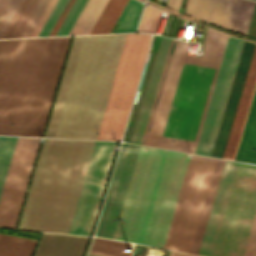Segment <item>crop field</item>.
<instances>
[{
	"label": "crop field",
	"mask_w": 256,
	"mask_h": 256,
	"mask_svg": "<svg viewBox=\"0 0 256 256\" xmlns=\"http://www.w3.org/2000/svg\"><path fill=\"white\" fill-rule=\"evenodd\" d=\"M83 36H74L45 137H53Z\"/></svg>",
	"instance_id": "obj_19"
},
{
	"label": "crop field",
	"mask_w": 256,
	"mask_h": 256,
	"mask_svg": "<svg viewBox=\"0 0 256 256\" xmlns=\"http://www.w3.org/2000/svg\"><path fill=\"white\" fill-rule=\"evenodd\" d=\"M125 35L83 37L54 137L96 138Z\"/></svg>",
	"instance_id": "obj_4"
},
{
	"label": "crop field",
	"mask_w": 256,
	"mask_h": 256,
	"mask_svg": "<svg viewBox=\"0 0 256 256\" xmlns=\"http://www.w3.org/2000/svg\"><path fill=\"white\" fill-rule=\"evenodd\" d=\"M161 12L159 9L146 6L138 30L140 32L155 33Z\"/></svg>",
	"instance_id": "obj_30"
},
{
	"label": "crop field",
	"mask_w": 256,
	"mask_h": 256,
	"mask_svg": "<svg viewBox=\"0 0 256 256\" xmlns=\"http://www.w3.org/2000/svg\"><path fill=\"white\" fill-rule=\"evenodd\" d=\"M70 38L48 39L20 135H42Z\"/></svg>",
	"instance_id": "obj_8"
},
{
	"label": "crop field",
	"mask_w": 256,
	"mask_h": 256,
	"mask_svg": "<svg viewBox=\"0 0 256 256\" xmlns=\"http://www.w3.org/2000/svg\"><path fill=\"white\" fill-rule=\"evenodd\" d=\"M256 212V166L225 161L200 256H242Z\"/></svg>",
	"instance_id": "obj_5"
},
{
	"label": "crop field",
	"mask_w": 256,
	"mask_h": 256,
	"mask_svg": "<svg viewBox=\"0 0 256 256\" xmlns=\"http://www.w3.org/2000/svg\"><path fill=\"white\" fill-rule=\"evenodd\" d=\"M224 161L225 160H220V159L217 160V164H216V167H215V170H214V174H213L212 181H211V184H210V187H209L207 198H206V201H205V204H204V208H203V211H202V214H201V218H200L199 225H198V228H197V231H196L194 242H193V245H192V248H191L190 253H192V254H196V255L198 254V250H199L200 243H201V240H202V237H203V233H204L205 226H206V223H207V219H208V216H209V213H210V209H211L212 202H213V199H214V195H215V192H216V189H217V185H218L219 178H220V175H221V171H222V168H223V165H224Z\"/></svg>",
	"instance_id": "obj_21"
},
{
	"label": "crop field",
	"mask_w": 256,
	"mask_h": 256,
	"mask_svg": "<svg viewBox=\"0 0 256 256\" xmlns=\"http://www.w3.org/2000/svg\"><path fill=\"white\" fill-rule=\"evenodd\" d=\"M127 145L128 144H125V143H122V145H121V149H120L118 159H117V162H116V165H115V169H114L113 176H112V179H111V182H110V186H109V189H108V192H107V196H106V199H105V202H104V206H103V209H102V213H101V216H100V219H99V223H98V226H97V229H96L95 236H100V237L102 236V232H103V229H104V225H105V222H106V218H107V215H108V211H109V208H110V204H111V201H112L114 190H115V187H116V184H117V180H118V177H119V173H120V170H121V166H122V163H123V159H124V156H125Z\"/></svg>",
	"instance_id": "obj_25"
},
{
	"label": "crop field",
	"mask_w": 256,
	"mask_h": 256,
	"mask_svg": "<svg viewBox=\"0 0 256 256\" xmlns=\"http://www.w3.org/2000/svg\"><path fill=\"white\" fill-rule=\"evenodd\" d=\"M98 238V237H97ZM94 239L91 250L89 253L103 255V256H130L131 253H126L125 248L128 247L129 244L103 240V239Z\"/></svg>",
	"instance_id": "obj_26"
},
{
	"label": "crop field",
	"mask_w": 256,
	"mask_h": 256,
	"mask_svg": "<svg viewBox=\"0 0 256 256\" xmlns=\"http://www.w3.org/2000/svg\"><path fill=\"white\" fill-rule=\"evenodd\" d=\"M243 40L228 37L212 95L195 148L196 154L211 155L235 69L238 63ZM208 149H210L208 151Z\"/></svg>",
	"instance_id": "obj_10"
},
{
	"label": "crop field",
	"mask_w": 256,
	"mask_h": 256,
	"mask_svg": "<svg viewBox=\"0 0 256 256\" xmlns=\"http://www.w3.org/2000/svg\"><path fill=\"white\" fill-rule=\"evenodd\" d=\"M56 1L57 0H50L49 1L47 7L45 8L43 14L41 15L38 23L36 24L34 30L31 33L30 37L37 36L39 30L41 29L43 23L45 22L47 16L49 15V13H50L51 9L53 8Z\"/></svg>",
	"instance_id": "obj_36"
},
{
	"label": "crop field",
	"mask_w": 256,
	"mask_h": 256,
	"mask_svg": "<svg viewBox=\"0 0 256 256\" xmlns=\"http://www.w3.org/2000/svg\"><path fill=\"white\" fill-rule=\"evenodd\" d=\"M151 35L127 34L99 128V140L120 141Z\"/></svg>",
	"instance_id": "obj_6"
},
{
	"label": "crop field",
	"mask_w": 256,
	"mask_h": 256,
	"mask_svg": "<svg viewBox=\"0 0 256 256\" xmlns=\"http://www.w3.org/2000/svg\"><path fill=\"white\" fill-rule=\"evenodd\" d=\"M108 0H88L70 35L89 34Z\"/></svg>",
	"instance_id": "obj_22"
},
{
	"label": "crop field",
	"mask_w": 256,
	"mask_h": 256,
	"mask_svg": "<svg viewBox=\"0 0 256 256\" xmlns=\"http://www.w3.org/2000/svg\"><path fill=\"white\" fill-rule=\"evenodd\" d=\"M1 138L2 136H0V192L17 137H12L11 141H1ZM10 138L3 136L2 140H10Z\"/></svg>",
	"instance_id": "obj_29"
},
{
	"label": "crop field",
	"mask_w": 256,
	"mask_h": 256,
	"mask_svg": "<svg viewBox=\"0 0 256 256\" xmlns=\"http://www.w3.org/2000/svg\"><path fill=\"white\" fill-rule=\"evenodd\" d=\"M142 5L133 0L116 32L134 31Z\"/></svg>",
	"instance_id": "obj_31"
},
{
	"label": "crop field",
	"mask_w": 256,
	"mask_h": 256,
	"mask_svg": "<svg viewBox=\"0 0 256 256\" xmlns=\"http://www.w3.org/2000/svg\"><path fill=\"white\" fill-rule=\"evenodd\" d=\"M88 256H97V255H91V254H89Z\"/></svg>",
	"instance_id": "obj_41"
},
{
	"label": "crop field",
	"mask_w": 256,
	"mask_h": 256,
	"mask_svg": "<svg viewBox=\"0 0 256 256\" xmlns=\"http://www.w3.org/2000/svg\"><path fill=\"white\" fill-rule=\"evenodd\" d=\"M169 38H161L160 45L157 51V55L154 61V65L151 71V75L148 81V85L144 94V98L141 104V108L138 114V118L135 124V128L132 134V143H141V139L144 133L148 115L151 109L155 91L158 85L160 74L163 68L167 50L170 44Z\"/></svg>",
	"instance_id": "obj_15"
},
{
	"label": "crop field",
	"mask_w": 256,
	"mask_h": 256,
	"mask_svg": "<svg viewBox=\"0 0 256 256\" xmlns=\"http://www.w3.org/2000/svg\"><path fill=\"white\" fill-rule=\"evenodd\" d=\"M49 0H36L21 25L16 37H29Z\"/></svg>",
	"instance_id": "obj_27"
},
{
	"label": "crop field",
	"mask_w": 256,
	"mask_h": 256,
	"mask_svg": "<svg viewBox=\"0 0 256 256\" xmlns=\"http://www.w3.org/2000/svg\"><path fill=\"white\" fill-rule=\"evenodd\" d=\"M47 39L24 40L1 119L0 134H20Z\"/></svg>",
	"instance_id": "obj_7"
},
{
	"label": "crop field",
	"mask_w": 256,
	"mask_h": 256,
	"mask_svg": "<svg viewBox=\"0 0 256 256\" xmlns=\"http://www.w3.org/2000/svg\"><path fill=\"white\" fill-rule=\"evenodd\" d=\"M140 146L128 145L102 237L112 238Z\"/></svg>",
	"instance_id": "obj_16"
},
{
	"label": "crop field",
	"mask_w": 256,
	"mask_h": 256,
	"mask_svg": "<svg viewBox=\"0 0 256 256\" xmlns=\"http://www.w3.org/2000/svg\"><path fill=\"white\" fill-rule=\"evenodd\" d=\"M36 242L0 234V256H31Z\"/></svg>",
	"instance_id": "obj_23"
},
{
	"label": "crop field",
	"mask_w": 256,
	"mask_h": 256,
	"mask_svg": "<svg viewBox=\"0 0 256 256\" xmlns=\"http://www.w3.org/2000/svg\"><path fill=\"white\" fill-rule=\"evenodd\" d=\"M172 40H171V44H172ZM171 44H170V47H171ZM170 47H169V50H170ZM169 50H168V54H169ZM168 54H167V57H168ZM167 57H166V61H167ZM166 61H165V64H166ZM165 64H164V68H165ZM164 68H163V71H164ZM163 71H162V74H163ZM162 74H161V78H162ZM161 78H160V81H161ZM160 81H159V85H160ZM159 85H158V88H159ZM158 88H157V91H158ZM156 95H157V92H156ZM156 95H155V98H156ZM155 98H154V102H155ZM154 102H153V105H154ZM153 105H152V109H153ZM152 109H151V112H152ZM151 112H150V115H151ZM150 115H149V119H150ZM149 119H148V122H149ZM148 122H147V126H148ZM147 126H146V129H147ZM146 129H145V133H146ZM145 133H144V136H145ZM144 136H143V139H144ZM143 139H142V143H143Z\"/></svg>",
	"instance_id": "obj_39"
},
{
	"label": "crop field",
	"mask_w": 256,
	"mask_h": 256,
	"mask_svg": "<svg viewBox=\"0 0 256 256\" xmlns=\"http://www.w3.org/2000/svg\"><path fill=\"white\" fill-rule=\"evenodd\" d=\"M117 142L96 141L68 233L90 235Z\"/></svg>",
	"instance_id": "obj_9"
},
{
	"label": "crop field",
	"mask_w": 256,
	"mask_h": 256,
	"mask_svg": "<svg viewBox=\"0 0 256 256\" xmlns=\"http://www.w3.org/2000/svg\"><path fill=\"white\" fill-rule=\"evenodd\" d=\"M254 43L245 41L237 71L234 77L232 88L223 114L221 125L212 151L213 157H222L225 143L228 137L230 126L233 120L235 109L241 93L243 82L246 76L248 65L254 49Z\"/></svg>",
	"instance_id": "obj_13"
},
{
	"label": "crop field",
	"mask_w": 256,
	"mask_h": 256,
	"mask_svg": "<svg viewBox=\"0 0 256 256\" xmlns=\"http://www.w3.org/2000/svg\"><path fill=\"white\" fill-rule=\"evenodd\" d=\"M18 137L0 196V226L14 228L40 143Z\"/></svg>",
	"instance_id": "obj_11"
},
{
	"label": "crop field",
	"mask_w": 256,
	"mask_h": 256,
	"mask_svg": "<svg viewBox=\"0 0 256 256\" xmlns=\"http://www.w3.org/2000/svg\"><path fill=\"white\" fill-rule=\"evenodd\" d=\"M173 151L140 147L118 224L115 239L150 244L173 160ZM176 153L161 205L152 246L164 247L188 163Z\"/></svg>",
	"instance_id": "obj_2"
},
{
	"label": "crop field",
	"mask_w": 256,
	"mask_h": 256,
	"mask_svg": "<svg viewBox=\"0 0 256 256\" xmlns=\"http://www.w3.org/2000/svg\"><path fill=\"white\" fill-rule=\"evenodd\" d=\"M87 0H75L56 35H68Z\"/></svg>",
	"instance_id": "obj_32"
},
{
	"label": "crop field",
	"mask_w": 256,
	"mask_h": 256,
	"mask_svg": "<svg viewBox=\"0 0 256 256\" xmlns=\"http://www.w3.org/2000/svg\"><path fill=\"white\" fill-rule=\"evenodd\" d=\"M234 160L256 164V90Z\"/></svg>",
	"instance_id": "obj_20"
},
{
	"label": "crop field",
	"mask_w": 256,
	"mask_h": 256,
	"mask_svg": "<svg viewBox=\"0 0 256 256\" xmlns=\"http://www.w3.org/2000/svg\"><path fill=\"white\" fill-rule=\"evenodd\" d=\"M227 37L209 29L200 57L176 41L146 145L194 152Z\"/></svg>",
	"instance_id": "obj_1"
},
{
	"label": "crop field",
	"mask_w": 256,
	"mask_h": 256,
	"mask_svg": "<svg viewBox=\"0 0 256 256\" xmlns=\"http://www.w3.org/2000/svg\"><path fill=\"white\" fill-rule=\"evenodd\" d=\"M24 39L0 41V119Z\"/></svg>",
	"instance_id": "obj_18"
},
{
	"label": "crop field",
	"mask_w": 256,
	"mask_h": 256,
	"mask_svg": "<svg viewBox=\"0 0 256 256\" xmlns=\"http://www.w3.org/2000/svg\"><path fill=\"white\" fill-rule=\"evenodd\" d=\"M73 1H74V0H69V1H68L66 7L64 8L62 14H61L60 17H59L57 23L55 24V26H54V28H53V30H52L50 36L55 35V33H56L57 29L59 28L61 22L63 21L65 15L67 14V12H68V10H69V8L71 7Z\"/></svg>",
	"instance_id": "obj_37"
},
{
	"label": "crop field",
	"mask_w": 256,
	"mask_h": 256,
	"mask_svg": "<svg viewBox=\"0 0 256 256\" xmlns=\"http://www.w3.org/2000/svg\"><path fill=\"white\" fill-rule=\"evenodd\" d=\"M68 0H58L38 36H48Z\"/></svg>",
	"instance_id": "obj_34"
},
{
	"label": "crop field",
	"mask_w": 256,
	"mask_h": 256,
	"mask_svg": "<svg viewBox=\"0 0 256 256\" xmlns=\"http://www.w3.org/2000/svg\"><path fill=\"white\" fill-rule=\"evenodd\" d=\"M243 256H256V216L252 225V229Z\"/></svg>",
	"instance_id": "obj_35"
},
{
	"label": "crop field",
	"mask_w": 256,
	"mask_h": 256,
	"mask_svg": "<svg viewBox=\"0 0 256 256\" xmlns=\"http://www.w3.org/2000/svg\"><path fill=\"white\" fill-rule=\"evenodd\" d=\"M34 1L35 0L21 1L5 31L3 32L1 38H14L16 32L18 31Z\"/></svg>",
	"instance_id": "obj_28"
},
{
	"label": "crop field",
	"mask_w": 256,
	"mask_h": 256,
	"mask_svg": "<svg viewBox=\"0 0 256 256\" xmlns=\"http://www.w3.org/2000/svg\"><path fill=\"white\" fill-rule=\"evenodd\" d=\"M170 256H192V255H187V254L171 251Z\"/></svg>",
	"instance_id": "obj_40"
},
{
	"label": "crop field",
	"mask_w": 256,
	"mask_h": 256,
	"mask_svg": "<svg viewBox=\"0 0 256 256\" xmlns=\"http://www.w3.org/2000/svg\"><path fill=\"white\" fill-rule=\"evenodd\" d=\"M181 0H168L167 7L179 11Z\"/></svg>",
	"instance_id": "obj_38"
},
{
	"label": "crop field",
	"mask_w": 256,
	"mask_h": 256,
	"mask_svg": "<svg viewBox=\"0 0 256 256\" xmlns=\"http://www.w3.org/2000/svg\"><path fill=\"white\" fill-rule=\"evenodd\" d=\"M89 238L44 233L35 256H83Z\"/></svg>",
	"instance_id": "obj_17"
},
{
	"label": "crop field",
	"mask_w": 256,
	"mask_h": 256,
	"mask_svg": "<svg viewBox=\"0 0 256 256\" xmlns=\"http://www.w3.org/2000/svg\"><path fill=\"white\" fill-rule=\"evenodd\" d=\"M255 3L248 0H191L186 15L246 36Z\"/></svg>",
	"instance_id": "obj_12"
},
{
	"label": "crop field",
	"mask_w": 256,
	"mask_h": 256,
	"mask_svg": "<svg viewBox=\"0 0 256 256\" xmlns=\"http://www.w3.org/2000/svg\"><path fill=\"white\" fill-rule=\"evenodd\" d=\"M43 143L19 228L67 233L95 141Z\"/></svg>",
	"instance_id": "obj_3"
},
{
	"label": "crop field",
	"mask_w": 256,
	"mask_h": 256,
	"mask_svg": "<svg viewBox=\"0 0 256 256\" xmlns=\"http://www.w3.org/2000/svg\"><path fill=\"white\" fill-rule=\"evenodd\" d=\"M21 0H0V36Z\"/></svg>",
	"instance_id": "obj_33"
},
{
	"label": "crop field",
	"mask_w": 256,
	"mask_h": 256,
	"mask_svg": "<svg viewBox=\"0 0 256 256\" xmlns=\"http://www.w3.org/2000/svg\"><path fill=\"white\" fill-rule=\"evenodd\" d=\"M256 86V45L249 65L247 76L244 82L242 93L236 109L234 120L231 126L229 137L223 153L225 159H234L241 132L245 123L248 109Z\"/></svg>",
	"instance_id": "obj_14"
},
{
	"label": "crop field",
	"mask_w": 256,
	"mask_h": 256,
	"mask_svg": "<svg viewBox=\"0 0 256 256\" xmlns=\"http://www.w3.org/2000/svg\"><path fill=\"white\" fill-rule=\"evenodd\" d=\"M126 2L127 0H109L91 34L110 33Z\"/></svg>",
	"instance_id": "obj_24"
}]
</instances>
